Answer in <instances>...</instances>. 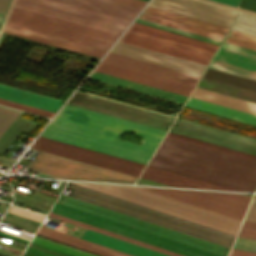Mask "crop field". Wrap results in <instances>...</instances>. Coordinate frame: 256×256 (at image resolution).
Masks as SVG:
<instances>
[{"instance_id":"crop-field-10","label":"crop field","mask_w":256,"mask_h":256,"mask_svg":"<svg viewBox=\"0 0 256 256\" xmlns=\"http://www.w3.org/2000/svg\"><path fill=\"white\" fill-rule=\"evenodd\" d=\"M28 1H32V0H28ZM28 1L15 0L13 6L18 7V8H22V9H25V10L33 11V12H36V13L48 15V16H51V17L59 18V19H62V20L70 21V22H73V23L81 24V25H84V26L96 28V29H99V30L107 31V32H110V33L118 34V35H120V33L125 29L126 25H128L129 22H130V20L118 18V17H115V16L99 13V12H96V11L84 9V8H81V7L69 5V4L54 1V0H36V1L44 2V3H47V4L55 5V6H58V7L70 9V10H73V11L85 13V14H88V15L100 17V18H103V19L111 20V21L126 24V25L114 23V22H111V21H107V20L96 18V17L88 16V15H85V14H81V13L73 12V11H70V10L58 8V7H55V6L43 4V3H40V2L32 1V2L43 4V5L51 6V7H54V8L62 9V10H65V11L77 13V14L84 15V16H88V17H91V18L99 19V20H102V21H106V22L117 24V25L125 26V27H121V26H117V25H114V24L102 22V21H99V20L91 19V18H88V17L80 16V15H77V14L65 12V11H62V10L54 9V8H51V7L43 6V5H40V4L28 2Z\"/></svg>"},{"instance_id":"crop-field-31","label":"crop field","mask_w":256,"mask_h":256,"mask_svg":"<svg viewBox=\"0 0 256 256\" xmlns=\"http://www.w3.org/2000/svg\"><path fill=\"white\" fill-rule=\"evenodd\" d=\"M22 256H74L30 241Z\"/></svg>"},{"instance_id":"crop-field-15","label":"crop field","mask_w":256,"mask_h":256,"mask_svg":"<svg viewBox=\"0 0 256 256\" xmlns=\"http://www.w3.org/2000/svg\"><path fill=\"white\" fill-rule=\"evenodd\" d=\"M170 132L256 154L255 140L225 133L186 121L176 119L170 129Z\"/></svg>"},{"instance_id":"crop-field-47","label":"crop field","mask_w":256,"mask_h":256,"mask_svg":"<svg viewBox=\"0 0 256 256\" xmlns=\"http://www.w3.org/2000/svg\"><path fill=\"white\" fill-rule=\"evenodd\" d=\"M0 231L6 232V233H10V232H7V231L1 230V229H0ZM10 234H13V235H16V236H19V237L23 238V236H20V235L14 234V233H10Z\"/></svg>"},{"instance_id":"crop-field-8","label":"crop field","mask_w":256,"mask_h":256,"mask_svg":"<svg viewBox=\"0 0 256 256\" xmlns=\"http://www.w3.org/2000/svg\"><path fill=\"white\" fill-rule=\"evenodd\" d=\"M57 203L73 207L97 216H101L125 225H129L153 234H157L181 243H185L209 252H213L222 256H227L229 252V248L213 244L183 233H179L149 222H145L118 212H114L84 201H80L71 197H68L66 195L61 194L59 199L57 200Z\"/></svg>"},{"instance_id":"crop-field-44","label":"crop field","mask_w":256,"mask_h":256,"mask_svg":"<svg viewBox=\"0 0 256 256\" xmlns=\"http://www.w3.org/2000/svg\"><path fill=\"white\" fill-rule=\"evenodd\" d=\"M0 236H4V237H7V238H10V239H13V240L28 243V240H25V239H22V238H19V237H16V236H12V235H9V234L3 233V232H0Z\"/></svg>"},{"instance_id":"crop-field-32","label":"crop field","mask_w":256,"mask_h":256,"mask_svg":"<svg viewBox=\"0 0 256 256\" xmlns=\"http://www.w3.org/2000/svg\"><path fill=\"white\" fill-rule=\"evenodd\" d=\"M256 222V205L252 204L245 219ZM244 221L237 236L256 239V223Z\"/></svg>"},{"instance_id":"crop-field-40","label":"crop field","mask_w":256,"mask_h":256,"mask_svg":"<svg viewBox=\"0 0 256 256\" xmlns=\"http://www.w3.org/2000/svg\"><path fill=\"white\" fill-rule=\"evenodd\" d=\"M229 256H256V253L232 249Z\"/></svg>"},{"instance_id":"crop-field-9","label":"crop field","mask_w":256,"mask_h":256,"mask_svg":"<svg viewBox=\"0 0 256 256\" xmlns=\"http://www.w3.org/2000/svg\"><path fill=\"white\" fill-rule=\"evenodd\" d=\"M51 212L73 218L112 232H116L155 246H159L186 256H219L185 244H181L157 235H153L129 226H125L101 217H97L73 208L55 203Z\"/></svg>"},{"instance_id":"crop-field-37","label":"crop field","mask_w":256,"mask_h":256,"mask_svg":"<svg viewBox=\"0 0 256 256\" xmlns=\"http://www.w3.org/2000/svg\"><path fill=\"white\" fill-rule=\"evenodd\" d=\"M0 104L10 106V107H14V108H18V109H22V110H26V111L37 113V114H41V115H45V116H49V117H52V115H53V113H50V112H46V111H43V110L35 109V108H32V107L24 106V105H21V104L13 103V102L2 100V99H0Z\"/></svg>"},{"instance_id":"crop-field-3","label":"crop field","mask_w":256,"mask_h":256,"mask_svg":"<svg viewBox=\"0 0 256 256\" xmlns=\"http://www.w3.org/2000/svg\"><path fill=\"white\" fill-rule=\"evenodd\" d=\"M119 41L134 44L205 65L208 64L209 60L212 58L213 54L218 48V45L135 22L122 35ZM119 41H117V43L111 49V52L130 56L199 76H201L204 69L206 68L205 65L190 62Z\"/></svg>"},{"instance_id":"crop-field-20","label":"crop field","mask_w":256,"mask_h":256,"mask_svg":"<svg viewBox=\"0 0 256 256\" xmlns=\"http://www.w3.org/2000/svg\"><path fill=\"white\" fill-rule=\"evenodd\" d=\"M88 79L103 82L106 84H110L113 86L135 91L138 93H142L145 95H149L152 97L167 100V101L174 102L181 105H183V103L187 99V96L179 95L176 93L168 92L165 90L157 89L154 87L146 86L143 84H139L136 82L128 81L125 79L117 78L114 76L106 75V74L95 72V71H93L90 74Z\"/></svg>"},{"instance_id":"crop-field-12","label":"crop field","mask_w":256,"mask_h":256,"mask_svg":"<svg viewBox=\"0 0 256 256\" xmlns=\"http://www.w3.org/2000/svg\"><path fill=\"white\" fill-rule=\"evenodd\" d=\"M68 104L167 130L173 117L76 91ZM175 119V118H174Z\"/></svg>"},{"instance_id":"crop-field-22","label":"crop field","mask_w":256,"mask_h":256,"mask_svg":"<svg viewBox=\"0 0 256 256\" xmlns=\"http://www.w3.org/2000/svg\"><path fill=\"white\" fill-rule=\"evenodd\" d=\"M3 32L11 33L14 35L22 36L25 38L33 39L36 41L44 42L47 44L55 45L58 47L66 48L69 50L77 51L80 53L88 54V55L99 57V58H101V56L105 52V50L93 48L90 46L78 44L75 42L63 40L60 38L52 37L49 35L37 33L34 31L22 29V28L7 25V24L5 25Z\"/></svg>"},{"instance_id":"crop-field-16","label":"crop field","mask_w":256,"mask_h":256,"mask_svg":"<svg viewBox=\"0 0 256 256\" xmlns=\"http://www.w3.org/2000/svg\"><path fill=\"white\" fill-rule=\"evenodd\" d=\"M95 71L189 96L193 86L101 61Z\"/></svg>"},{"instance_id":"crop-field-11","label":"crop field","mask_w":256,"mask_h":256,"mask_svg":"<svg viewBox=\"0 0 256 256\" xmlns=\"http://www.w3.org/2000/svg\"><path fill=\"white\" fill-rule=\"evenodd\" d=\"M186 202H190L238 219H243L245 211L250 203L252 196L221 193V192H208V191H195V190H182L170 188H151L144 187Z\"/></svg>"},{"instance_id":"crop-field-39","label":"crop field","mask_w":256,"mask_h":256,"mask_svg":"<svg viewBox=\"0 0 256 256\" xmlns=\"http://www.w3.org/2000/svg\"><path fill=\"white\" fill-rule=\"evenodd\" d=\"M40 229H43V230H46V231H49V232H52V233H55V234H59V235H62V236H65V237H68V238L86 243V244H89V245H93V246H96V247H99V248H102V249H105V250H108V251H111V252H114V253H117V254H120V255H123V256H131V255H128V254H125V253H122V252H119V251H116V250H113V249H110V248H107V247H103V246H100V245H97V244H94V243H91V242H88V241H85V240L67 235V234H64V233H60V232H57V231H54V230H51V229H48V228H45V227H42V226H40Z\"/></svg>"},{"instance_id":"crop-field-2","label":"crop field","mask_w":256,"mask_h":256,"mask_svg":"<svg viewBox=\"0 0 256 256\" xmlns=\"http://www.w3.org/2000/svg\"><path fill=\"white\" fill-rule=\"evenodd\" d=\"M148 165L242 191L256 188V162L167 137Z\"/></svg>"},{"instance_id":"crop-field-14","label":"crop field","mask_w":256,"mask_h":256,"mask_svg":"<svg viewBox=\"0 0 256 256\" xmlns=\"http://www.w3.org/2000/svg\"><path fill=\"white\" fill-rule=\"evenodd\" d=\"M139 18L223 41L229 28L147 6Z\"/></svg>"},{"instance_id":"crop-field-5","label":"crop field","mask_w":256,"mask_h":256,"mask_svg":"<svg viewBox=\"0 0 256 256\" xmlns=\"http://www.w3.org/2000/svg\"><path fill=\"white\" fill-rule=\"evenodd\" d=\"M68 195L207 241L231 247L234 236L68 183Z\"/></svg>"},{"instance_id":"crop-field-26","label":"crop field","mask_w":256,"mask_h":256,"mask_svg":"<svg viewBox=\"0 0 256 256\" xmlns=\"http://www.w3.org/2000/svg\"><path fill=\"white\" fill-rule=\"evenodd\" d=\"M190 96L256 114L255 103L215 93L205 89L195 87Z\"/></svg>"},{"instance_id":"crop-field-45","label":"crop field","mask_w":256,"mask_h":256,"mask_svg":"<svg viewBox=\"0 0 256 256\" xmlns=\"http://www.w3.org/2000/svg\"><path fill=\"white\" fill-rule=\"evenodd\" d=\"M6 16H7L6 14L0 13V29H1L2 25H3V22H4L5 18H6Z\"/></svg>"},{"instance_id":"crop-field-18","label":"crop field","mask_w":256,"mask_h":256,"mask_svg":"<svg viewBox=\"0 0 256 256\" xmlns=\"http://www.w3.org/2000/svg\"><path fill=\"white\" fill-rule=\"evenodd\" d=\"M103 61L195 86L199 76L109 52Z\"/></svg>"},{"instance_id":"crop-field-24","label":"crop field","mask_w":256,"mask_h":256,"mask_svg":"<svg viewBox=\"0 0 256 256\" xmlns=\"http://www.w3.org/2000/svg\"><path fill=\"white\" fill-rule=\"evenodd\" d=\"M83 239L114 248L135 256H169L92 230L86 231Z\"/></svg>"},{"instance_id":"crop-field-1","label":"crop field","mask_w":256,"mask_h":256,"mask_svg":"<svg viewBox=\"0 0 256 256\" xmlns=\"http://www.w3.org/2000/svg\"><path fill=\"white\" fill-rule=\"evenodd\" d=\"M52 122L119 140L127 131L143 135L142 147L155 150L166 131L66 104ZM50 123L41 136L144 163L153 150ZM39 136L31 148L139 176L144 164Z\"/></svg>"},{"instance_id":"crop-field-28","label":"crop field","mask_w":256,"mask_h":256,"mask_svg":"<svg viewBox=\"0 0 256 256\" xmlns=\"http://www.w3.org/2000/svg\"><path fill=\"white\" fill-rule=\"evenodd\" d=\"M37 235H40V236L73 246V247H76V248H79V249H82V250H85L88 252H92V253H95V254H98L101 256H120V255H117V254H114V253H111V252H108V251H105V250H102V249H99V248H96L93 246H89V245H86V244H83V243H80V242L59 236V235H55V234H52V233H49V232H46V231H43L40 229L38 230Z\"/></svg>"},{"instance_id":"crop-field-34","label":"crop field","mask_w":256,"mask_h":256,"mask_svg":"<svg viewBox=\"0 0 256 256\" xmlns=\"http://www.w3.org/2000/svg\"><path fill=\"white\" fill-rule=\"evenodd\" d=\"M233 29L256 35V17L242 13Z\"/></svg>"},{"instance_id":"crop-field-29","label":"crop field","mask_w":256,"mask_h":256,"mask_svg":"<svg viewBox=\"0 0 256 256\" xmlns=\"http://www.w3.org/2000/svg\"><path fill=\"white\" fill-rule=\"evenodd\" d=\"M167 137L175 138V139L182 140V141H185V142L193 143V144H196V145H200V146H203V147L211 148V149H214V150H218V151H221V152L229 153V154H232V155H236V156H239V157H243V158H247V159L256 161V155L244 153V152H241V151L233 150V149L222 147V146H218V145H215V144L207 143V142L196 140V139H193V138L181 136V135L170 133V132H168Z\"/></svg>"},{"instance_id":"crop-field-6","label":"crop field","mask_w":256,"mask_h":256,"mask_svg":"<svg viewBox=\"0 0 256 256\" xmlns=\"http://www.w3.org/2000/svg\"><path fill=\"white\" fill-rule=\"evenodd\" d=\"M7 24L107 50L118 35L11 8Z\"/></svg>"},{"instance_id":"crop-field-42","label":"crop field","mask_w":256,"mask_h":256,"mask_svg":"<svg viewBox=\"0 0 256 256\" xmlns=\"http://www.w3.org/2000/svg\"><path fill=\"white\" fill-rule=\"evenodd\" d=\"M223 46H227V47H230V48H234V49H237V50L245 51V52L252 53V54L256 55L255 50H251V49H248V48L236 46V45L225 43V42L223 43Z\"/></svg>"},{"instance_id":"crop-field-27","label":"crop field","mask_w":256,"mask_h":256,"mask_svg":"<svg viewBox=\"0 0 256 256\" xmlns=\"http://www.w3.org/2000/svg\"><path fill=\"white\" fill-rule=\"evenodd\" d=\"M48 216H51V217H54V218H57V219H60V220H64V221H67V222H70V223H73V224H76V225H79V226H82V227H85V228H89V229H92V230H95V231H98V232H101V233H105V234H108V235H111V236L129 241V242H132V243H135V244H139V245H142V246H145V247H148V248H151V249L169 254V255L183 256V255H180V254H177V253H174V252H171V251L159 248V247H155V246H152V245H149V244H146V243H143V242H140V241H137V240H134V239L116 234V233H112V232H109V231H106V230H103V229H100V228H97V227H94V226L76 221V220H73V219H69V218H66V217L51 213V212L49 213Z\"/></svg>"},{"instance_id":"crop-field-35","label":"crop field","mask_w":256,"mask_h":256,"mask_svg":"<svg viewBox=\"0 0 256 256\" xmlns=\"http://www.w3.org/2000/svg\"><path fill=\"white\" fill-rule=\"evenodd\" d=\"M32 241H35V242H38V243H41V244H44V245H47V246L65 251V252H68V253H71V254H74V255H78V256H95V255H92V254H89V253H86V252H83V251H79V250H76V249H73V248H70V247L52 242V241H48V240L36 237V236L33 237Z\"/></svg>"},{"instance_id":"crop-field-38","label":"crop field","mask_w":256,"mask_h":256,"mask_svg":"<svg viewBox=\"0 0 256 256\" xmlns=\"http://www.w3.org/2000/svg\"><path fill=\"white\" fill-rule=\"evenodd\" d=\"M8 212H11L20 216H24L39 222H41L44 218L43 215L33 213V212H30L21 208L13 207V206H10V208L8 209Z\"/></svg>"},{"instance_id":"crop-field-43","label":"crop field","mask_w":256,"mask_h":256,"mask_svg":"<svg viewBox=\"0 0 256 256\" xmlns=\"http://www.w3.org/2000/svg\"><path fill=\"white\" fill-rule=\"evenodd\" d=\"M203 1L214 3V4H217V5L225 6V7H228V8H232V9H236V10H239V11H243V12H246V13H250V14L256 15V13H254V12H250V11H246V10H243V9L235 8V7H232V6L224 5V4H221V3L214 2V1H210V0H203Z\"/></svg>"},{"instance_id":"crop-field-36","label":"crop field","mask_w":256,"mask_h":256,"mask_svg":"<svg viewBox=\"0 0 256 256\" xmlns=\"http://www.w3.org/2000/svg\"><path fill=\"white\" fill-rule=\"evenodd\" d=\"M233 248L256 252V240L237 237Z\"/></svg>"},{"instance_id":"crop-field-25","label":"crop field","mask_w":256,"mask_h":256,"mask_svg":"<svg viewBox=\"0 0 256 256\" xmlns=\"http://www.w3.org/2000/svg\"><path fill=\"white\" fill-rule=\"evenodd\" d=\"M185 107L256 125V116L189 97Z\"/></svg>"},{"instance_id":"crop-field-23","label":"crop field","mask_w":256,"mask_h":256,"mask_svg":"<svg viewBox=\"0 0 256 256\" xmlns=\"http://www.w3.org/2000/svg\"><path fill=\"white\" fill-rule=\"evenodd\" d=\"M0 98L56 113L63 101L0 84Z\"/></svg>"},{"instance_id":"crop-field-17","label":"crop field","mask_w":256,"mask_h":256,"mask_svg":"<svg viewBox=\"0 0 256 256\" xmlns=\"http://www.w3.org/2000/svg\"><path fill=\"white\" fill-rule=\"evenodd\" d=\"M210 68L256 80V56L221 46Z\"/></svg>"},{"instance_id":"crop-field-49","label":"crop field","mask_w":256,"mask_h":256,"mask_svg":"<svg viewBox=\"0 0 256 256\" xmlns=\"http://www.w3.org/2000/svg\"><path fill=\"white\" fill-rule=\"evenodd\" d=\"M0 256H4V255H1V254H0Z\"/></svg>"},{"instance_id":"crop-field-50","label":"crop field","mask_w":256,"mask_h":256,"mask_svg":"<svg viewBox=\"0 0 256 256\" xmlns=\"http://www.w3.org/2000/svg\"><path fill=\"white\" fill-rule=\"evenodd\" d=\"M146 1H148V0H146Z\"/></svg>"},{"instance_id":"crop-field-7","label":"crop field","mask_w":256,"mask_h":256,"mask_svg":"<svg viewBox=\"0 0 256 256\" xmlns=\"http://www.w3.org/2000/svg\"><path fill=\"white\" fill-rule=\"evenodd\" d=\"M27 169L66 179L88 181L100 180L123 183H134L137 179V177L129 176L42 151H40L35 159L27 166Z\"/></svg>"},{"instance_id":"crop-field-33","label":"crop field","mask_w":256,"mask_h":256,"mask_svg":"<svg viewBox=\"0 0 256 256\" xmlns=\"http://www.w3.org/2000/svg\"><path fill=\"white\" fill-rule=\"evenodd\" d=\"M135 22H139V23H142V24L150 25V26H153V27H157V28H160V29L168 30V31H171V32H175V33H178V34H182V35H185V36L193 37V38H196V39H200V40L211 42V43L218 44V45H220V43H221V41H217V40L210 39V38H207V37L199 36V35H196V34H192V33H189V32H185V31H182V30H178V29H175V28H171V27H168V26H164V25H161V24L153 23V22L146 21V20L139 19V18H137L135 20Z\"/></svg>"},{"instance_id":"crop-field-30","label":"crop field","mask_w":256,"mask_h":256,"mask_svg":"<svg viewBox=\"0 0 256 256\" xmlns=\"http://www.w3.org/2000/svg\"><path fill=\"white\" fill-rule=\"evenodd\" d=\"M225 42L248 47L256 50V36L231 29Z\"/></svg>"},{"instance_id":"crop-field-4","label":"crop field","mask_w":256,"mask_h":256,"mask_svg":"<svg viewBox=\"0 0 256 256\" xmlns=\"http://www.w3.org/2000/svg\"><path fill=\"white\" fill-rule=\"evenodd\" d=\"M218 231L236 235L241 220L189 204L141 187L70 182Z\"/></svg>"},{"instance_id":"crop-field-46","label":"crop field","mask_w":256,"mask_h":256,"mask_svg":"<svg viewBox=\"0 0 256 256\" xmlns=\"http://www.w3.org/2000/svg\"><path fill=\"white\" fill-rule=\"evenodd\" d=\"M215 1H218V2H222V3H225V4L231 5V3H232L234 0H215Z\"/></svg>"},{"instance_id":"crop-field-48","label":"crop field","mask_w":256,"mask_h":256,"mask_svg":"<svg viewBox=\"0 0 256 256\" xmlns=\"http://www.w3.org/2000/svg\"><path fill=\"white\" fill-rule=\"evenodd\" d=\"M254 198H256V196H255ZM253 202H255V203H256V199H254V200H253Z\"/></svg>"},{"instance_id":"crop-field-21","label":"crop field","mask_w":256,"mask_h":256,"mask_svg":"<svg viewBox=\"0 0 256 256\" xmlns=\"http://www.w3.org/2000/svg\"><path fill=\"white\" fill-rule=\"evenodd\" d=\"M141 178L149 179L152 181L160 182L163 184L171 186H181V187H195V188H209V189H222V190H233L235 189L227 188L217 184L209 183L199 179L191 178L181 174L173 173L163 169L155 168L146 165Z\"/></svg>"},{"instance_id":"crop-field-41","label":"crop field","mask_w":256,"mask_h":256,"mask_svg":"<svg viewBox=\"0 0 256 256\" xmlns=\"http://www.w3.org/2000/svg\"><path fill=\"white\" fill-rule=\"evenodd\" d=\"M12 0H0V12L8 13Z\"/></svg>"},{"instance_id":"crop-field-19","label":"crop field","mask_w":256,"mask_h":256,"mask_svg":"<svg viewBox=\"0 0 256 256\" xmlns=\"http://www.w3.org/2000/svg\"><path fill=\"white\" fill-rule=\"evenodd\" d=\"M132 20L146 1L142 0H58Z\"/></svg>"},{"instance_id":"crop-field-13","label":"crop field","mask_w":256,"mask_h":256,"mask_svg":"<svg viewBox=\"0 0 256 256\" xmlns=\"http://www.w3.org/2000/svg\"><path fill=\"white\" fill-rule=\"evenodd\" d=\"M149 6L231 28L238 12L195 0H152Z\"/></svg>"}]
</instances>
